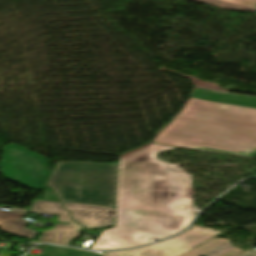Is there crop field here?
<instances>
[{
    "label": "crop field",
    "instance_id": "8a807250",
    "mask_svg": "<svg viewBox=\"0 0 256 256\" xmlns=\"http://www.w3.org/2000/svg\"><path fill=\"white\" fill-rule=\"evenodd\" d=\"M172 147L150 144L119 160L116 226L101 232L91 249H120L169 237L193 220L190 182L173 164L155 159Z\"/></svg>",
    "mask_w": 256,
    "mask_h": 256
},
{
    "label": "crop field",
    "instance_id": "ac0d7876",
    "mask_svg": "<svg viewBox=\"0 0 256 256\" xmlns=\"http://www.w3.org/2000/svg\"><path fill=\"white\" fill-rule=\"evenodd\" d=\"M153 142L254 157L256 97L197 89ZM245 150L254 153L245 155Z\"/></svg>",
    "mask_w": 256,
    "mask_h": 256
},
{
    "label": "crop field",
    "instance_id": "34b2d1b8",
    "mask_svg": "<svg viewBox=\"0 0 256 256\" xmlns=\"http://www.w3.org/2000/svg\"><path fill=\"white\" fill-rule=\"evenodd\" d=\"M115 165L57 162L47 185L62 202L113 207Z\"/></svg>",
    "mask_w": 256,
    "mask_h": 256
},
{
    "label": "crop field",
    "instance_id": "412701ff",
    "mask_svg": "<svg viewBox=\"0 0 256 256\" xmlns=\"http://www.w3.org/2000/svg\"><path fill=\"white\" fill-rule=\"evenodd\" d=\"M4 152L0 162L4 178L36 191L44 189L51 175L47 158L15 144L5 147Z\"/></svg>",
    "mask_w": 256,
    "mask_h": 256
},
{
    "label": "crop field",
    "instance_id": "f4fd0767",
    "mask_svg": "<svg viewBox=\"0 0 256 256\" xmlns=\"http://www.w3.org/2000/svg\"><path fill=\"white\" fill-rule=\"evenodd\" d=\"M221 233L223 232L194 225L186 233L151 247L105 254L108 256H178Z\"/></svg>",
    "mask_w": 256,
    "mask_h": 256
},
{
    "label": "crop field",
    "instance_id": "dd49c442",
    "mask_svg": "<svg viewBox=\"0 0 256 256\" xmlns=\"http://www.w3.org/2000/svg\"><path fill=\"white\" fill-rule=\"evenodd\" d=\"M30 211L39 214L59 215L57 221L71 222V225L56 224L52 230L43 232L45 236L40 237L38 242L69 246V240L78 236V229L83 228L69 217V212L63 209L60 203L34 200Z\"/></svg>",
    "mask_w": 256,
    "mask_h": 256
},
{
    "label": "crop field",
    "instance_id": "e52e79f7",
    "mask_svg": "<svg viewBox=\"0 0 256 256\" xmlns=\"http://www.w3.org/2000/svg\"><path fill=\"white\" fill-rule=\"evenodd\" d=\"M64 207L73 212V218L87 228L103 225L113 226L114 208L96 207L63 203Z\"/></svg>",
    "mask_w": 256,
    "mask_h": 256
},
{
    "label": "crop field",
    "instance_id": "d8731c3e",
    "mask_svg": "<svg viewBox=\"0 0 256 256\" xmlns=\"http://www.w3.org/2000/svg\"><path fill=\"white\" fill-rule=\"evenodd\" d=\"M244 251L234 246L230 240L215 238L181 256H240Z\"/></svg>",
    "mask_w": 256,
    "mask_h": 256
},
{
    "label": "crop field",
    "instance_id": "5a996713",
    "mask_svg": "<svg viewBox=\"0 0 256 256\" xmlns=\"http://www.w3.org/2000/svg\"><path fill=\"white\" fill-rule=\"evenodd\" d=\"M26 214L0 211V229L6 233L34 239L38 231L24 228L27 221L21 217Z\"/></svg>",
    "mask_w": 256,
    "mask_h": 256
},
{
    "label": "crop field",
    "instance_id": "3316defc",
    "mask_svg": "<svg viewBox=\"0 0 256 256\" xmlns=\"http://www.w3.org/2000/svg\"><path fill=\"white\" fill-rule=\"evenodd\" d=\"M226 10L253 11L256 0H194Z\"/></svg>",
    "mask_w": 256,
    "mask_h": 256
},
{
    "label": "crop field",
    "instance_id": "28ad6ade",
    "mask_svg": "<svg viewBox=\"0 0 256 256\" xmlns=\"http://www.w3.org/2000/svg\"><path fill=\"white\" fill-rule=\"evenodd\" d=\"M13 253L11 252H6V251H2L0 252V256H11Z\"/></svg>",
    "mask_w": 256,
    "mask_h": 256
},
{
    "label": "crop field",
    "instance_id": "d1516ede",
    "mask_svg": "<svg viewBox=\"0 0 256 256\" xmlns=\"http://www.w3.org/2000/svg\"><path fill=\"white\" fill-rule=\"evenodd\" d=\"M243 256H256V253L246 252Z\"/></svg>",
    "mask_w": 256,
    "mask_h": 256
}]
</instances>
